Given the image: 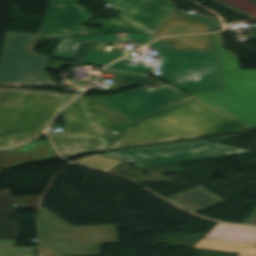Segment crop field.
I'll return each instance as SVG.
<instances>
[{"mask_svg": "<svg viewBox=\"0 0 256 256\" xmlns=\"http://www.w3.org/2000/svg\"><path fill=\"white\" fill-rule=\"evenodd\" d=\"M193 248L240 253L239 256H256V245L202 239Z\"/></svg>", "mask_w": 256, "mask_h": 256, "instance_id": "17", "label": "crop field"}, {"mask_svg": "<svg viewBox=\"0 0 256 256\" xmlns=\"http://www.w3.org/2000/svg\"><path fill=\"white\" fill-rule=\"evenodd\" d=\"M14 201L8 190L0 191V209L15 207L13 206Z\"/></svg>", "mask_w": 256, "mask_h": 256, "instance_id": "26", "label": "crop field"}, {"mask_svg": "<svg viewBox=\"0 0 256 256\" xmlns=\"http://www.w3.org/2000/svg\"><path fill=\"white\" fill-rule=\"evenodd\" d=\"M247 17H256V0H212Z\"/></svg>", "mask_w": 256, "mask_h": 256, "instance_id": "20", "label": "crop field"}, {"mask_svg": "<svg viewBox=\"0 0 256 256\" xmlns=\"http://www.w3.org/2000/svg\"><path fill=\"white\" fill-rule=\"evenodd\" d=\"M121 162H122L121 160H116V159H111V158H106V157L96 155V156L78 160L76 163H80L86 166H90L93 168H97V169L109 172L112 169H114L116 166H118Z\"/></svg>", "mask_w": 256, "mask_h": 256, "instance_id": "23", "label": "crop field"}, {"mask_svg": "<svg viewBox=\"0 0 256 256\" xmlns=\"http://www.w3.org/2000/svg\"><path fill=\"white\" fill-rule=\"evenodd\" d=\"M73 97L0 89V148L26 142L41 133Z\"/></svg>", "mask_w": 256, "mask_h": 256, "instance_id": "2", "label": "crop field"}, {"mask_svg": "<svg viewBox=\"0 0 256 256\" xmlns=\"http://www.w3.org/2000/svg\"><path fill=\"white\" fill-rule=\"evenodd\" d=\"M17 210L15 208L0 210V239H17V223H8L11 215Z\"/></svg>", "mask_w": 256, "mask_h": 256, "instance_id": "21", "label": "crop field"}, {"mask_svg": "<svg viewBox=\"0 0 256 256\" xmlns=\"http://www.w3.org/2000/svg\"><path fill=\"white\" fill-rule=\"evenodd\" d=\"M209 32L207 24L173 12L153 33L162 35Z\"/></svg>", "mask_w": 256, "mask_h": 256, "instance_id": "13", "label": "crop field"}, {"mask_svg": "<svg viewBox=\"0 0 256 256\" xmlns=\"http://www.w3.org/2000/svg\"><path fill=\"white\" fill-rule=\"evenodd\" d=\"M126 37L132 41V43H137L140 45H145L155 38L153 35L148 34H136V33H127Z\"/></svg>", "mask_w": 256, "mask_h": 256, "instance_id": "25", "label": "crop field"}, {"mask_svg": "<svg viewBox=\"0 0 256 256\" xmlns=\"http://www.w3.org/2000/svg\"><path fill=\"white\" fill-rule=\"evenodd\" d=\"M185 93L168 85L154 90L146 87L120 94L91 97L133 119L160 109L165 104L177 101Z\"/></svg>", "mask_w": 256, "mask_h": 256, "instance_id": "9", "label": "crop field"}, {"mask_svg": "<svg viewBox=\"0 0 256 256\" xmlns=\"http://www.w3.org/2000/svg\"><path fill=\"white\" fill-rule=\"evenodd\" d=\"M66 127L51 138L102 139V144L122 135L130 119L84 97L79 96L61 112Z\"/></svg>", "mask_w": 256, "mask_h": 256, "instance_id": "6", "label": "crop field"}, {"mask_svg": "<svg viewBox=\"0 0 256 256\" xmlns=\"http://www.w3.org/2000/svg\"><path fill=\"white\" fill-rule=\"evenodd\" d=\"M63 64L68 65L69 62L52 60L49 69H59Z\"/></svg>", "mask_w": 256, "mask_h": 256, "instance_id": "29", "label": "crop field"}, {"mask_svg": "<svg viewBox=\"0 0 256 256\" xmlns=\"http://www.w3.org/2000/svg\"><path fill=\"white\" fill-rule=\"evenodd\" d=\"M54 141L63 157L94 150V147L101 143V140L89 139H54Z\"/></svg>", "mask_w": 256, "mask_h": 256, "instance_id": "19", "label": "crop field"}, {"mask_svg": "<svg viewBox=\"0 0 256 256\" xmlns=\"http://www.w3.org/2000/svg\"><path fill=\"white\" fill-rule=\"evenodd\" d=\"M122 55L124 54L114 53V52H104V51L93 49L86 56L83 57L81 62L104 66L116 60Z\"/></svg>", "mask_w": 256, "mask_h": 256, "instance_id": "22", "label": "crop field"}, {"mask_svg": "<svg viewBox=\"0 0 256 256\" xmlns=\"http://www.w3.org/2000/svg\"><path fill=\"white\" fill-rule=\"evenodd\" d=\"M122 11L118 17L153 32L172 12L170 0H102Z\"/></svg>", "mask_w": 256, "mask_h": 256, "instance_id": "10", "label": "crop field"}, {"mask_svg": "<svg viewBox=\"0 0 256 256\" xmlns=\"http://www.w3.org/2000/svg\"><path fill=\"white\" fill-rule=\"evenodd\" d=\"M248 39H249V40L256 39V29L251 30Z\"/></svg>", "mask_w": 256, "mask_h": 256, "instance_id": "30", "label": "crop field"}, {"mask_svg": "<svg viewBox=\"0 0 256 256\" xmlns=\"http://www.w3.org/2000/svg\"><path fill=\"white\" fill-rule=\"evenodd\" d=\"M60 158L50 142L30 144L4 150L2 171L21 165Z\"/></svg>", "mask_w": 256, "mask_h": 256, "instance_id": "11", "label": "crop field"}, {"mask_svg": "<svg viewBox=\"0 0 256 256\" xmlns=\"http://www.w3.org/2000/svg\"><path fill=\"white\" fill-rule=\"evenodd\" d=\"M256 153L204 140L104 153L140 168Z\"/></svg>", "mask_w": 256, "mask_h": 256, "instance_id": "8", "label": "crop field"}, {"mask_svg": "<svg viewBox=\"0 0 256 256\" xmlns=\"http://www.w3.org/2000/svg\"><path fill=\"white\" fill-rule=\"evenodd\" d=\"M116 34L91 35L61 38L53 56L71 60L80 43L117 41Z\"/></svg>", "mask_w": 256, "mask_h": 256, "instance_id": "16", "label": "crop field"}, {"mask_svg": "<svg viewBox=\"0 0 256 256\" xmlns=\"http://www.w3.org/2000/svg\"><path fill=\"white\" fill-rule=\"evenodd\" d=\"M126 60H121L111 66H109L110 68H117V69H124V70H131V71H138V72H145V73H150L151 74V70L152 68H146V67H139V68H134V67H128V66H124Z\"/></svg>", "mask_w": 256, "mask_h": 256, "instance_id": "27", "label": "crop field"}, {"mask_svg": "<svg viewBox=\"0 0 256 256\" xmlns=\"http://www.w3.org/2000/svg\"><path fill=\"white\" fill-rule=\"evenodd\" d=\"M204 238L256 244V229L218 223Z\"/></svg>", "mask_w": 256, "mask_h": 256, "instance_id": "14", "label": "crop field"}, {"mask_svg": "<svg viewBox=\"0 0 256 256\" xmlns=\"http://www.w3.org/2000/svg\"><path fill=\"white\" fill-rule=\"evenodd\" d=\"M167 199L192 213L226 202L201 187Z\"/></svg>", "mask_w": 256, "mask_h": 256, "instance_id": "12", "label": "crop field"}, {"mask_svg": "<svg viewBox=\"0 0 256 256\" xmlns=\"http://www.w3.org/2000/svg\"><path fill=\"white\" fill-rule=\"evenodd\" d=\"M223 86L193 95L256 127V70H240L237 56L224 49L219 33L212 34Z\"/></svg>", "mask_w": 256, "mask_h": 256, "instance_id": "3", "label": "crop field"}, {"mask_svg": "<svg viewBox=\"0 0 256 256\" xmlns=\"http://www.w3.org/2000/svg\"><path fill=\"white\" fill-rule=\"evenodd\" d=\"M38 34L7 32L0 60V87H55L46 73L50 57L32 53Z\"/></svg>", "mask_w": 256, "mask_h": 256, "instance_id": "4", "label": "crop field"}, {"mask_svg": "<svg viewBox=\"0 0 256 256\" xmlns=\"http://www.w3.org/2000/svg\"><path fill=\"white\" fill-rule=\"evenodd\" d=\"M103 72L115 74L114 76L115 82L112 86V90L122 89V88L136 86V85H143L148 88L154 89V88L166 85L156 79L146 77L147 74L145 73L124 71V70H117V69H110V68L104 69Z\"/></svg>", "mask_w": 256, "mask_h": 256, "instance_id": "15", "label": "crop field"}, {"mask_svg": "<svg viewBox=\"0 0 256 256\" xmlns=\"http://www.w3.org/2000/svg\"><path fill=\"white\" fill-rule=\"evenodd\" d=\"M78 0H49L37 39L67 36L104 34L114 32L149 33L126 21L94 18L91 25L101 24V29L83 27L91 18L90 10L78 6Z\"/></svg>", "mask_w": 256, "mask_h": 256, "instance_id": "7", "label": "crop field"}, {"mask_svg": "<svg viewBox=\"0 0 256 256\" xmlns=\"http://www.w3.org/2000/svg\"><path fill=\"white\" fill-rule=\"evenodd\" d=\"M149 46L162 52L160 69L168 82L189 93L220 88L214 51L178 52L164 42Z\"/></svg>", "mask_w": 256, "mask_h": 256, "instance_id": "5", "label": "crop field"}, {"mask_svg": "<svg viewBox=\"0 0 256 256\" xmlns=\"http://www.w3.org/2000/svg\"><path fill=\"white\" fill-rule=\"evenodd\" d=\"M2 155H3V150H0V172H1V166H2Z\"/></svg>", "mask_w": 256, "mask_h": 256, "instance_id": "31", "label": "crop field"}, {"mask_svg": "<svg viewBox=\"0 0 256 256\" xmlns=\"http://www.w3.org/2000/svg\"><path fill=\"white\" fill-rule=\"evenodd\" d=\"M163 40L178 50L213 49L209 34L163 38Z\"/></svg>", "mask_w": 256, "mask_h": 256, "instance_id": "18", "label": "crop field"}, {"mask_svg": "<svg viewBox=\"0 0 256 256\" xmlns=\"http://www.w3.org/2000/svg\"><path fill=\"white\" fill-rule=\"evenodd\" d=\"M252 128L210 105L187 96L177 103L131 122L121 139L107 149L197 138ZM97 145L95 151L106 150Z\"/></svg>", "mask_w": 256, "mask_h": 256, "instance_id": "1", "label": "crop field"}, {"mask_svg": "<svg viewBox=\"0 0 256 256\" xmlns=\"http://www.w3.org/2000/svg\"><path fill=\"white\" fill-rule=\"evenodd\" d=\"M176 11L184 13V14H186L190 17H193L197 20L209 23L211 32H215V31H218V30L221 29V23H220L219 19H217L215 17H211V16L204 17V16H200V15H197V14L193 15V14L187 13V12L181 10V9H178V8H176Z\"/></svg>", "mask_w": 256, "mask_h": 256, "instance_id": "24", "label": "crop field"}, {"mask_svg": "<svg viewBox=\"0 0 256 256\" xmlns=\"http://www.w3.org/2000/svg\"><path fill=\"white\" fill-rule=\"evenodd\" d=\"M243 224L256 226V208L255 210L246 218Z\"/></svg>", "mask_w": 256, "mask_h": 256, "instance_id": "28", "label": "crop field"}]
</instances>
